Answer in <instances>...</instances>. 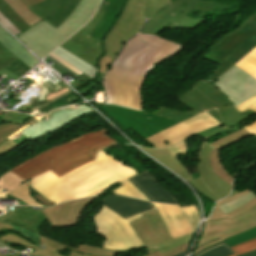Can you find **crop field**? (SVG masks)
Returning <instances> with one entry per match:
<instances>
[{
  "instance_id": "obj_22",
  "label": "crop field",
  "mask_w": 256,
  "mask_h": 256,
  "mask_svg": "<svg viewBox=\"0 0 256 256\" xmlns=\"http://www.w3.org/2000/svg\"><path fill=\"white\" fill-rule=\"evenodd\" d=\"M249 135H252L245 131L244 129L226 136L222 139H219L211 144H213L215 147L211 152L210 156V164L212 167V170L215 174H217L221 179H223L226 183L232 186V176L228 173V171L224 168L221 159H220V152L219 150L236 143Z\"/></svg>"
},
{
  "instance_id": "obj_20",
  "label": "crop field",
  "mask_w": 256,
  "mask_h": 256,
  "mask_svg": "<svg viewBox=\"0 0 256 256\" xmlns=\"http://www.w3.org/2000/svg\"><path fill=\"white\" fill-rule=\"evenodd\" d=\"M129 181L134 184L151 201L169 204H179L171 193L147 170L135 175Z\"/></svg>"
},
{
  "instance_id": "obj_53",
  "label": "crop field",
  "mask_w": 256,
  "mask_h": 256,
  "mask_svg": "<svg viewBox=\"0 0 256 256\" xmlns=\"http://www.w3.org/2000/svg\"><path fill=\"white\" fill-rule=\"evenodd\" d=\"M37 200H39L42 204L49 206V205H53L55 203L43 198L41 195H36L34 196Z\"/></svg>"
},
{
  "instance_id": "obj_29",
  "label": "crop field",
  "mask_w": 256,
  "mask_h": 256,
  "mask_svg": "<svg viewBox=\"0 0 256 256\" xmlns=\"http://www.w3.org/2000/svg\"><path fill=\"white\" fill-rule=\"evenodd\" d=\"M22 182L24 180L12 172H7L4 176L0 177V198L13 191Z\"/></svg>"
},
{
  "instance_id": "obj_3",
  "label": "crop field",
  "mask_w": 256,
  "mask_h": 256,
  "mask_svg": "<svg viewBox=\"0 0 256 256\" xmlns=\"http://www.w3.org/2000/svg\"><path fill=\"white\" fill-rule=\"evenodd\" d=\"M96 162H89L60 178L50 170L31 179L29 186L43 197L58 203L99 195L118 182L122 186L112 192L150 201L127 180L137 174V171L102 151L98 153Z\"/></svg>"
},
{
  "instance_id": "obj_56",
  "label": "crop field",
  "mask_w": 256,
  "mask_h": 256,
  "mask_svg": "<svg viewBox=\"0 0 256 256\" xmlns=\"http://www.w3.org/2000/svg\"><path fill=\"white\" fill-rule=\"evenodd\" d=\"M249 54H251V55H253L254 57H256V47H255L253 50H251V51L249 52Z\"/></svg>"
},
{
  "instance_id": "obj_34",
  "label": "crop field",
  "mask_w": 256,
  "mask_h": 256,
  "mask_svg": "<svg viewBox=\"0 0 256 256\" xmlns=\"http://www.w3.org/2000/svg\"><path fill=\"white\" fill-rule=\"evenodd\" d=\"M29 181L21 184L17 189H15L10 194L21 198L22 200H24L26 203H28L30 205L43 206L40 202H38L34 197L31 196V194L28 190Z\"/></svg>"
},
{
  "instance_id": "obj_52",
  "label": "crop field",
  "mask_w": 256,
  "mask_h": 256,
  "mask_svg": "<svg viewBox=\"0 0 256 256\" xmlns=\"http://www.w3.org/2000/svg\"><path fill=\"white\" fill-rule=\"evenodd\" d=\"M47 59H49L50 61L54 62L56 65H58L59 67H61L62 69H64L66 72H68L69 74H71L72 76H74L75 78L78 77L76 74H74L73 72H71L70 70H68L67 68H65L63 65H61L60 63H58L57 61H55L54 59H52L51 57H46Z\"/></svg>"
},
{
  "instance_id": "obj_25",
  "label": "crop field",
  "mask_w": 256,
  "mask_h": 256,
  "mask_svg": "<svg viewBox=\"0 0 256 256\" xmlns=\"http://www.w3.org/2000/svg\"><path fill=\"white\" fill-rule=\"evenodd\" d=\"M142 149L146 151L149 155H151L153 158L161 161L163 164H165L167 167L172 169L174 172H176L185 180L193 179L190 173L182 164L179 157L173 158L169 149H162V150H155V149H149V148H142Z\"/></svg>"
},
{
  "instance_id": "obj_45",
  "label": "crop field",
  "mask_w": 256,
  "mask_h": 256,
  "mask_svg": "<svg viewBox=\"0 0 256 256\" xmlns=\"http://www.w3.org/2000/svg\"><path fill=\"white\" fill-rule=\"evenodd\" d=\"M188 244L182 245V246H180L178 248H175L173 250L167 251V252H165L163 254H161L159 251H157V252H155V253H153L151 255H146V256H175V255L185 251L187 249Z\"/></svg>"
},
{
  "instance_id": "obj_21",
  "label": "crop field",
  "mask_w": 256,
  "mask_h": 256,
  "mask_svg": "<svg viewBox=\"0 0 256 256\" xmlns=\"http://www.w3.org/2000/svg\"><path fill=\"white\" fill-rule=\"evenodd\" d=\"M101 203L125 219L145 210L154 208L153 204L150 202L136 200L121 195L106 196Z\"/></svg>"
},
{
  "instance_id": "obj_46",
  "label": "crop field",
  "mask_w": 256,
  "mask_h": 256,
  "mask_svg": "<svg viewBox=\"0 0 256 256\" xmlns=\"http://www.w3.org/2000/svg\"><path fill=\"white\" fill-rule=\"evenodd\" d=\"M185 143H186V140L176 146L169 148L173 157L185 154Z\"/></svg>"
},
{
  "instance_id": "obj_27",
  "label": "crop field",
  "mask_w": 256,
  "mask_h": 256,
  "mask_svg": "<svg viewBox=\"0 0 256 256\" xmlns=\"http://www.w3.org/2000/svg\"><path fill=\"white\" fill-rule=\"evenodd\" d=\"M250 192L251 191H249L247 189V190H245V191H243V192H241V193H239L237 195H233L231 197H228V198H225L223 200H220L218 202V204L216 205V207H215V209H214V211H213V213H212V215H211V217H210V219L208 221H210V220H217V219L226 218V217H229L230 219H232V218H235V217L245 213L246 211H248L249 209L254 207L256 205V198L248 201L247 203L243 204L242 206L236 208L235 210L231 211L230 213H228L226 215L218 207L219 205H221V204H223V203H225V202H227L229 200L235 199L237 197H240L242 195L248 194Z\"/></svg>"
},
{
  "instance_id": "obj_50",
  "label": "crop field",
  "mask_w": 256,
  "mask_h": 256,
  "mask_svg": "<svg viewBox=\"0 0 256 256\" xmlns=\"http://www.w3.org/2000/svg\"><path fill=\"white\" fill-rule=\"evenodd\" d=\"M49 56H51L52 58H54L55 60H57L58 62H60L61 64H63L65 67H67L68 69H70L71 71H73L74 73H76L77 75H81L82 73L80 71H78L75 67H73L72 65H70L69 63L61 60L60 58H58L57 56H55L54 54H50Z\"/></svg>"
},
{
  "instance_id": "obj_32",
  "label": "crop field",
  "mask_w": 256,
  "mask_h": 256,
  "mask_svg": "<svg viewBox=\"0 0 256 256\" xmlns=\"http://www.w3.org/2000/svg\"><path fill=\"white\" fill-rule=\"evenodd\" d=\"M40 88H42V90H41V93H40V96H39L38 101H39V100H43L45 96L47 97V99H45V101H46V100H49V99H51V101L45 102V104H42L41 106H39V104L32 105L33 107H32V109H31V111L20 110V108L18 109L19 111H24V112L33 113V112H34V109H36V108H42V107H44V106H46V105H48V104L54 102L55 100H57V99H59V98H61V97H63V96H66V95L72 93L68 88H66V89H64V90H61V91H59V92H56V93H54V94L48 93V91H47L48 89L45 88L43 85L40 86ZM21 107H22V106H21Z\"/></svg>"
},
{
  "instance_id": "obj_1",
  "label": "crop field",
  "mask_w": 256,
  "mask_h": 256,
  "mask_svg": "<svg viewBox=\"0 0 256 256\" xmlns=\"http://www.w3.org/2000/svg\"><path fill=\"white\" fill-rule=\"evenodd\" d=\"M192 88L178 98V103L192 109L186 112L162 106H159V110L153 113L135 111L115 105H100V107L126 130L132 128L143 139L204 111L214 117L223 125L220 126L222 129L216 127L200 133V135L206 138L200 150V163L197 164L200 177L188 182L208 199L217 202L219 199L228 196L232 187L211 171L209 155L214 146L207 142V138L234 126L254 114V112L249 110L241 114L232 108L231 106L234 104L210 82L196 81ZM149 117L151 118L148 119Z\"/></svg>"
},
{
  "instance_id": "obj_41",
  "label": "crop field",
  "mask_w": 256,
  "mask_h": 256,
  "mask_svg": "<svg viewBox=\"0 0 256 256\" xmlns=\"http://www.w3.org/2000/svg\"><path fill=\"white\" fill-rule=\"evenodd\" d=\"M216 8L223 9V8H230V7L225 4H218L210 1L204 2L201 0H199L197 4L194 6V9H199L203 11H213Z\"/></svg>"
},
{
  "instance_id": "obj_28",
  "label": "crop field",
  "mask_w": 256,
  "mask_h": 256,
  "mask_svg": "<svg viewBox=\"0 0 256 256\" xmlns=\"http://www.w3.org/2000/svg\"><path fill=\"white\" fill-rule=\"evenodd\" d=\"M52 53H54L55 55H57L58 57H60L64 60H66L67 62H69L70 64L75 66L77 69H79L84 74L96 79L97 69L91 67L92 65L90 66L85 61L78 58L77 56H75V55L71 54L70 52L64 50L60 46L55 51H53Z\"/></svg>"
},
{
  "instance_id": "obj_23",
  "label": "crop field",
  "mask_w": 256,
  "mask_h": 256,
  "mask_svg": "<svg viewBox=\"0 0 256 256\" xmlns=\"http://www.w3.org/2000/svg\"><path fill=\"white\" fill-rule=\"evenodd\" d=\"M109 2L107 11L102 18V20L99 22V24L96 26V28L92 31V33L89 35V37H93L96 39L103 40L107 32L112 27L115 20L118 18L123 4L125 0H104Z\"/></svg>"
},
{
  "instance_id": "obj_14",
  "label": "crop field",
  "mask_w": 256,
  "mask_h": 256,
  "mask_svg": "<svg viewBox=\"0 0 256 256\" xmlns=\"http://www.w3.org/2000/svg\"><path fill=\"white\" fill-rule=\"evenodd\" d=\"M218 125H220V123L205 112L145 140L154 147L166 148L198 132Z\"/></svg>"
},
{
  "instance_id": "obj_16",
  "label": "crop field",
  "mask_w": 256,
  "mask_h": 256,
  "mask_svg": "<svg viewBox=\"0 0 256 256\" xmlns=\"http://www.w3.org/2000/svg\"><path fill=\"white\" fill-rule=\"evenodd\" d=\"M219 79L214 85L236 105L256 95V79L235 66Z\"/></svg>"
},
{
  "instance_id": "obj_8",
  "label": "crop field",
  "mask_w": 256,
  "mask_h": 256,
  "mask_svg": "<svg viewBox=\"0 0 256 256\" xmlns=\"http://www.w3.org/2000/svg\"><path fill=\"white\" fill-rule=\"evenodd\" d=\"M140 215L125 220L103 205L101 212L94 218L97 233L105 239L103 248L130 250L144 247L128 223Z\"/></svg>"
},
{
  "instance_id": "obj_5",
  "label": "crop field",
  "mask_w": 256,
  "mask_h": 256,
  "mask_svg": "<svg viewBox=\"0 0 256 256\" xmlns=\"http://www.w3.org/2000/svg\"><path fill=\"white\" fill-rule=\"evenodd\" d=\"M115 144L117 143L107 135L105 129L98 130L52 148L11 171L25 181L49 169L59 177L93 161L97 151Z\"/></svg>"
},
{
  "instance_id": "obj_9",
  "label": "crop field",
  "mask_w": 256,
  "mask_h": 256,
  "mask_svg": "<svg viewBox=\"0 0 256 256\" xmlns=\"http://www.w3.org/2000/svg\"><path fill=\"white\" fill-rule=\"evenodd\" d=\"M143 242L147 254L157 250L161 253L190 242L194 233L172 240L157 210L143 213L142 217L130 222Z\"/></svg>"
},
{
  "instance_id": "obj_33",
  "label": "crop field",
  "mask_w": 256,
  "mask_h": 256,
  "mask_svg": "<svg viewBox=\"0 0 256 256\" xmlns=\"http://www.w3.org/2000/svg\"><path fill=\"white\" fill-rule=\"evenodd\" d=\"M30 69L24 65L19 59L8 65L0 71V75H6V79L10 76L18 80L22 75H24Z\"/></svg>"
},
{
  "instance_id": "obj_15",
  "label": "crop field",
  "mask_w": 256,
  "mask_h": 256,
  "mask_svg": "<svg viewBox=\"0 0 256 256\" xmlns=\"http://www.w3.org/2000/svg\"><path fill=\"white\" fill-rule=\"evenodd\" d=\"M172 238L196 231L198 216L194 206L181 207L154 203Z\"/></svg>"
},
{
  "instance_id": "obj_59",
  "label": "crop field",
  "mask_w": 256,
  "mask_h": 256,
  "mask_svg": "<svg viewBox=\"0 0 256 256\" xmlns=\"http://www.w3.org/2000/svg\"><path fill=\"white\" fill-rule=\"evenodd\" d=\"M237 192H235V191H232V194L231 195H233V194H236Z\"/></svg>"
},
{
  "instance_id": "obj_4",
  "label": "crop field",
  "mask_w": 256,
  "mask_h": 256,
  "mask_svg": "<svg viewBox=\"0 0 256 256\" xmlns=\"http://www.w3.org/2000/svg\"><path fill=\"white\" fill-rule=\"evenodd\" d=\"M5 211L7 214L0 216V232H5L9 229L15 232L0 237V239L24 247L35 248V251L29 253L32 256L116 255V251H110L88 244L77 245L79 249H75L40 236L38 228L47 221L42 212V208L8 206ZM40 245H43V250Z\"/></svg>"
},
{
  "instance_id": "obj_54",
  "label": "crop field",
  "mask_w": 256,
  "mask_h": 256,
  "mask_svg": "<svg viewBox=\"0 0 256 256\" xmlns=\"http://www.w3.org/2000/svg\"><path fill=\"white\" fill-rule=\"evenodd\" d=\"M240 256H256V250L252 251V252H249V253H246V254H243V255H240Z\"/></svg>"
},
{
  "instance_id": "obj_26",
  "label": "crop field",
  "mask_w": 256,
  "mask_h": 256,
  "mask_svg": "<svg viewBox=\"0 0 256 256\" xmlns=\"http://www.w3.org/2000/svg\"><path fill=\"white\" fill-rule=\"evenodd\" d=\"M0 43L31 69L37 65L38 61L1 27Z\"/></svg>"
},
{
  "instance_id": "obj_40",
  "label": "crop field",
  "mask_w": 256,
  "mask_h": 256,
  "mask_svg": "<svg viewBox=\"0 0 256 256\" xmlns=\"http://www.w3.org/2000/svg\"><path fill=\"white\" fill-rule=\"evenodd\" d=\"M231 249L234 251L235 255L233 256H237L252 250L256 249V239L250 240L248 242H245L243 244L231 247Z\"/></svg>"
},
{
  "instance_id": "obj_58",
  "label": "crop field",
  "mask_w": 256,
  "mask_h": 256,
  "mask_svg": "<svg viewBox=\"0 0 256 256\" xmlns=\"http://www.w3.org/2000/svg\"><path fill=\"white\" fill-rule=\"evenodd\" d=\"M186 252V251H185ZM185 252H183V253H181V254H179V255H177V256H185Z\"/></svg>"
},
{
  "instance_id": "obj_44",
  "label": "crop field",
  "mask_w": 256,
  "mask_h": 256,
  "mask_svg": "<svg viewBox=\"0 0 256 256\" xmlns=\"http://www.w3.org/2000/svg\"><path fill=\"white\" fill-rule=\"evenodd\" d=\"M10 112V111H9ZM6 122L9 123H17V124H22L26 121H28L32 116H27V115H19L14 112L6 113L4 114Z\"/></svg>"
},
{
  "instance_id": "obj_6",
  "label": "crop field",
  "mask_w": 256,
  "mask_h": 256,
  "mask_svg": "<svg viewBox=\"0 0 256 256\" xmlns=\"http://www.w3.org/2000/svg\"><path fill=\"white\" fill-rule=\"evenodd\" d=\"M100 0H81L72 15L56 30L41 21L17 37L41 59L85 24Z\"/></svg>"
},
{
  "instance_id": "obj_55",
  "label": "crop field",
  "mask_w": 256,
  "mask_h": 256,
  "mask_svg": "<svg viewBox=\"0 0 256 256\" xmlns=\"http://www.w3.org/2000/svg\"><path fill=\"white\" fill-rule=\"evenodd\" d=\"M45 98H46V97H45ZM36 103H38V102L36 101V102H34V103H32V104H36ZM42 103H44V101H40V105H41ZM32 104H30V105H32ZM21 109L30 110L31 107H30V106H29V107H22Z\"/></svg>"
},
{
  "instance_id": "obj_42",
  "label": "crop field",
  "mask_w": 256,
  "mask_h": 256,
  "mask_svg": "<svg viewBox=\"0 0 256 256\" xmlns=\"http://www.w3.org/2000/svg\"><path fill=\"white\" fill-rule=\"evenodd\" d=\"M36 121L35 117H32L28 122L22 124V125H18V126H14L6 131H2L0 132V144L5 141L6 139H8L9 137L13 136L14 134L17 133V131L21 130L22 128H24L25 126H27L28 124L32 123Z\"/></svg>"
},
{
  "instance_id": "obj_31",
  "label": "crop field",
  "mask_w": 256,
  "mask_h": 256,
  "mask_svg": "<svg viewBox=\"0 0 256 256\" xmlns=\"http://www.w3.org/2000/svg\"><path fill=\"white\" fill-rule=\"evenodd\" d=\"M0 12L11 21L20 32L29 27L3 0H0Z\"/></svg>"
},
{
  "instance_id": "obj_30",
  "label": "crop field",
  "mask_w": 256,
  "mask_h": 256,
  "mask_svg": "<svg viewBox=\"0 0 256 256\" xmlns=\"http://www.w3.org/2000/svg\"><path fill=\"white\" fill-rule=\"evenodd\" d=\"M6 1L11 8L29 25H33L36 22L40 21L36 15L29 11L20 0H4Z\"/></svg>"
},
{
  "instance_id": "obj_38",
  "label": "crop field",
  "mask_w": 256,
  "mask_h": 256,
  "mask_svg": "<svg viewBox=\"0 0 256 256\" xmlns=\"http://www.w3.org/2000/svg\"><path fill=\"white\" fill-rule=\"evenodd\" d=\"M27 139L21 133H18L11 137L10 139L6 140L0 145V154H3L22 143L23 140Z\"/></svg>"
},
{
  "instance_id": "obj_48",
  "label": "crop field",
  "mask_w": 256,
  "mask_h": 256,
  "mask_svg": "<svg viewBox=\"0 0 256 256\" xmlns=\"http://www.w3.org/2000/svg\"><path fill=\"white\" fill-rule=\"evenodd\" d=\"M104 74H105V73L99 72V78H98V80H97V81H94V82H92V83H90L88 87H86L85 89L79 91L80 94H81L82 96L88 94V92H89L92 88H94L95 86H97V84L102 80Z\"/></svg>"
},
{
  "instance_id": "obj_2",
  "label": "crop field",
  "mask_w": 256,
  "mask_h": 256,
  "mask_svg": "<svg viewBox=\"0 0 256 256\" xmlns=\"http://www.w3.org/2000/svg\"><path fill=\"white\" fill-rule=\"evenodd\" d=\"M181 48L156 35L137 34L126 43L102 82L107 103L143 110L141 87L147 73L154 64L174 57Z\"/></svg>"
},
{
  "instance_id": "obj_17",
  "label": "crop field",
  "mask_w": 256,
  "mask_h": 256,
  "mask_svg": "<svg viewBox=\"0 0 256 256\" xmlns=\"http://www.w3.org/2000/svg\"><path fill=\"white\" fill-rule=\"evenodd\" d=\"M77 107L78 108L76 109L68 107L61 110H55L54 112L46 116V120H40L38 122H35L34 124L24 128L19 132L32 140L44 133L57 130L58 128L66 125L67 123L94 111L86 105Z\"/></svg>"
},
{
  "instance_id": "obj_60",
  "label": "crop field",
  "mask_w": 256,
  "mask_h": 256,
  "mask_svg": "<svg viewBox=\"0 0 256 256\" xmlns=\"http://www.w3.org/2000/svg\"><path fill=\"white\" fill-rule=\"evenodd\" d=\"M44 119H46V118H43L42 120H44Z\"/></svg>"
},
{
  "instance_id": "obj_37",
  "label": "crop field",
  "mask_w": 256,
  "mask_h": 256,
  "mask_svg": "<svg viewBox=\"0 0 256 256\" xmlns=\"http://www.w3.org/2000/svg\"><path fill=\"white\" fill-rule=\"evenodd\" d=\"M254 197H256V195L254 193H250L235 200L229 201L219 207L226 214Z\"/></svg>"
},
{
  "instance_id": "obj_47",
  "label": "crop field",
  "mask_w": 256,
  "mask_h": 256,
  "mask_svg": "<svg viewBox=\"0 0 256 256\" xmlns=\"http://www.w3.org/2000/svg\"><path fill=\"white\" fill-rule=\"evenodd\" d=\"M114 59L103 57L99 63V71L107 72Z\"/></svg>"
},
{
  "instance_id": "obj_39",
  "label": "crop field",
  "mask_w": 256,
  "mask_h": 256,
  "mask_svg": "<svg viewBox=\"0 0 256 256\" xmlns=\"http://www.w3.org/2000/svg\"><path fill=\"white\" fill-rule=\"evenodd\" d=\"M253 238H256V228H254L250 231L238 234L230 239L225 240V242L229 245V247H231V246L243 243V242L248 241Z\"/></svg>"
},
{
  "instance_id": "obj_35",
  "label": "crop field",
  "mask_w": 256,
  "mask_h": 256,
  "mask_svg": "<svg viewBox=\"0 0 256 256\" xmlns=\"http://www.w3.org/2000/svg\"><path fill=\"white\" fill-rule=\"evenodd\" d=\"M230 255H233L232 250L227 246L225 242H223L203 252H200L194 256H230Z\"/></svg>"
},
{
  "instance_id": "obj_24",
  "label": "crop field",
  "mask_w": 256,
  "mask_h": 256,
  "mask_svg": "<svg viewBox=\"0 0 256 256\" xmlns=\"http://www.w3.org/2000/svg\"><path fill=\"white\" fill-rule=\"evenodd\" d=\"M249 73L251 76L256 78V58L253 56L246 54L237 64H235ZM240 112H245L249 109L256 112V96L250 98L249 100L245 101L244 103L240 104L239 106L235 107ZM244 114V113H243ZM247 131L251 132L252 134L256 135V122L243 127Z\"/></svg>"
},
{
  "instance_id": "obj_57",
  "label": "crop field",
  "mask_w": 256,
  "mask_h": 256,
  "mask_svg": "<svg viewBox=\"0 0 256 256\" xmlns=\"http://www.w3.org/2000/svg\"><path fill=\"white\" fill-rule=\"evenodd\" d=\"M20 255V253H18V252H16L14 255H12V256H19ZM0 256H3V255H1L0 254Z\"/></svg>"
},
{
  "instance_id": "obj_13",
  "label": "crop field",
  "mask_w": 256,
  "mask_h": 256,
  "mask_svg": "<svg viewBox=\"0 0 256 256\" xmlns=\"http://www.w3.org/2000/svg\"><path fill=\"white\" fill-rule=\"evenodd\" d=\"M107 4V2L103 1L92 19L70 39L60 45L95 68H97V60L104 55L102 50V41L92 39L87 36L103 17Z\"/></svg>"
},
{
  "instance_id": "obj_19",
  "label": "crop field",
  "mask_w": 256,
  "mask_h": 256,
  "mask_svg": "<svg viewBox=\"0 0 256 256\" xmlns=\"http://www.w3.org/2000/svg\"><path fill=\"white\" fill-rule=\"evenodd\" d=\"M80 0H46L29 8L55 29L70 16Z\"/></svg>"
},
{
  "instance_id": "obj_7",
  "label": "crop field",
  "mask_w": 256,
  "mask_h": 256,
  "mask_svg": "<svg viewBox=\"0 0 256 256\" xmlns=\"http://www.w3.org/2000/svg\"><path fill=\"white\" fill-rule=\"evenodd\" d=\"M255 46L256 13L231 33L223 36L211 47L212 50L204 56L206 59L221 64L208 80L221 76Z\"/></svg>"
},
{
  "instance_id": "obj_18",
  "label": "crop field",
  "mask_w": 256,
  "mask_h": 256,
  "mask_svg": "<svg viewBox=\"0 0 256 256\" xmlns=\"http://www.w3.org/2000/svg\"><path fill=\"white\" fill-rule=\"evenodd\" d=\"M96 197L69 201L50 208H44L43 212L52 228L74 226L78 223V217L84 208Z\"/></svg>"
},
{
  "instance_id": "obj_12",
  "label": "crop field",
  "mask_w": 256,
  "mask_h": 256,
  "mask_svg": "<svg viewBox=\"0 0 256 256\" xmlns=\"http://www.w3.org/2000/svg\"><path fill=\"white\" fill-rule=\"evenodd\" d=\"M198 0H174L150 21L146 22L139 33L158 34L166 27L186 28L195 30L204 18L191 19L186 14L192 9ZM173 14V15H172Z\"/></svg>"
},
{
  "instance_id": "obj_10",
  "label": "crop field",
  "mask_w": 256,
  "mask_h": 256,
  "mask_svg": "<svg viewBox=\"0 0 256 256\" xmlns=\"http://www.w3.org/2000/svg\"><path fill=\"white\" fill-rule=\"evenodd\" d=\"M145 0H127L120 18L110 30L104 42L107 57L115 58L122 44L143 26Z\"/></svg>"
},
{
  "instance_id": "obj_49",
  "label": "crop field",
  "mask_w": 256,
  "mask_h": 256,
  "mask_svg": "<svg viewBox=\"0 0 256 256\" xmlns=\"http://www.w3.org/2000/svg\"><path fill=\"white\" fill-rule=\"evenodd\" d=\"M0 22L6 26L14 35L20 33L1 13Z\"/></svg>"
},
{
  "instance_id": "obj_51",
  "label": "crop field",
  "mask_w": 256,
  "mask_h": 256,
  "mask_svg": "<svg viewBox=\"0 0 256 256\" xmlns=\"http://www.w3.org/2000/svg\"><path fill=\"white\" fill-rule=\"evenodd\" d=\"M21 1L24 3V5L27 8H29V7H31V6H33L35 4H38V3H40V2H42L44 0H21Z\"/></svg>"
},
{
  "instance_id": "obj_43",
  "label": "crop field",
  "mask_w": 256,
  "mask_h": 256,
  "mask_svg": "<svg viewBox=\"0 0 256 256\" xmlns=\"http://www.w3.org/2000/svg\"><path fill=\"white\" fill-rule=\"evenodd\" d=\"M16 59L18 58L0 44V70Z\"/></svg>"
},
{
  "instance_id": "obj_11",
  "label": "crop field",
  "mask_w": 256,
  "mask_h": 256,
  "mask_svg": "<svg viewBox=\"0 0 256 256\" xmlns=\"http://www.w3.org/2000/svg\"><path fill=\"white\" fill-rule=\"evenodd\" d=\"M253 227H256V206L236 219L205 222L193 255Z\"/></svg>"
},
{
  "instance_id": "obj_36",
  "label": "crop field",
  "mask_w": 256,
  "mask_h": 256,
  "mask_svg": "<svg viewBox=\"0 0 256 256\" xmlns=\"http://www.w3.org/2000/svg\"><path fill=\"white\" fill-rule=\"evenodd\" d=\"M171 0H146L144 17L153 18L161 8L168 5Z\"/></svg>"
}]
</instances>
